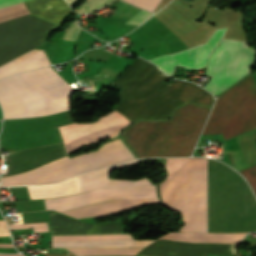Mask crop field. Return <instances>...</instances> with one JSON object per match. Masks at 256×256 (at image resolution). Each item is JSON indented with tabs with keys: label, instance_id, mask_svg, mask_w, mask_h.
Wrapping results in <instances>:
<instances>
[{
	"label": "crop field",
	"instance_id": "crop-field-14",
	"mask_svg": "<svg viewBox=\"0 0 256 256\" xmlns=\"http://www.w3.org/2000/svg\"><path fill=\"white\" fill-rule=\"evenodd\" d=\"M30 13L55 22L69 6L64 0H30L24 2Z\"/></svg>",
	"mask_w": 256,
	"mask_h": 256
},
{
	"label": "crop field",
	"instance_id": "crop-field-24",
	"mask_svg": "<svg viewBox=\"0 0 256 256\" xmlns=\"http://www.w3.org/2000/svg\"><path fill=\"white\" fill-rule=\"evenodd\" d=\"M151 13H148L146 11L141 10L136 15H134L131 19H129L126 24H133V25H139L141 22H143L145 19L150 17Z\"/></svg>",
	"mask_w": 256,
	"mask_h": 256
},
{
	"label": "crop field",
	"instance_id": "crop-field-23",
	"mask_svg": "<svg viewBox=\"0 0 256 256\" xmlns=\"http://www.w3.org/2000/svg\"><path fill=\"white\" fill-rule=\"evenodd\" d=\"M63 39L75 40L80 30L76 20L69 24Z\"/></svg>",
	"mask_w": 256,
	"mask_h": 256
},
{
	"label": "crop field",
	"instance_id": "crop-field-5",
	"mask_svg": "<svg viewBox=\"0 0 256 256\" xmlns=\"http://www.w3.org/2000/svg\"><path fill=\"white\" fill-rule=\"evenodd\" d=\"M209 110L186 104L176 109L171 121L138 122L123 136L140 158L189 156Z\"/></svg>",
	"mask_w": 256,
	"mask_h": 256
},
{
	"label": "crop field",
	"instance_id": "crop-field-8",
	"mask_svg": "<svg viewBox=\"0 0 256 256\" xmlns=\"http://www.w3.org/2000/svg\"><path fill=\"white\" fill-rule=\"evenodd\" d=\"M52 27L30 15L0 23V65L42 44Z\"/></svg>",
	"mask_w": 256,
	"mask_h": 256
},
{
	"label": "crop field",
	"instance_id": "crop-field-7",
	"mask_svg": "<svg viewBox=\"0 0 256 256\" xmlns=\"http://www.w3.org/2000/svg\"><path fill=\"white\" fill-rule=\"evenodd\" d=\"M255 128L256 82L251 74L216 99L202 134L223 133L226 140Z\"/></svg>",
	"mask_w": 256,
	"mask_h": 256
},
{
	"label": "crop field",
	"instance_id": "crop-field-21",
	"mask_svg": "<svg viewBox=\"0 0 256 256\" xmlns=\"http://www.w3.org/2000/svg\"><path fill=\"white\" fill-rule=\"evenodd\" d=\"M240 173L247 179L256 195V165L244 169Z\"/></svg>",
	"mask_w": 256,
	"mask_h": 256
},
{
	"label": "crop field",
	"instance_id": "crop-field-18",
	"mask_svg": "<svg viewBox=\"0 0 256 256\" xmlns=\"http://www.w3.org/2000/svg\"><path fill=\"white\" fill-rule=\"evenodd\" d=\"M111 239H132V237H131V234L52 236V241H66V240H111Z\"/></svg>",
	"mask_w": 256,
	"mask_h": 256
},
{
	"label": "crop field",
	"instance_id": "crop-field-3",
	"mask_svg": "<svg viewBox=\"0 0 256 256\" xmlns=\"http://www.w3.org/2000/svg\"><path fill=\"white\" fill-rule=\"evenodd\" d=\"M226 29H215L203 44L172 55L164 54L149 61L170 76L176 65L190 69L203 68L210 52L218 45ZM255 58L256 52L248 47L247 42L223 39L210 56L206 75L213 77L203 88L217 95L248 74V66L255 63Z\"/></svg>",
	"mask_w": 256,
	"mask_h": 256
},
{
	"label": "crop field",
	"instance_id": "crop-field-27",
	"mask_svg": "<svg viewBox=\"0 0 256 256\" xmlns=\"http://www.w3.org/2000/svg\"><path fill=\"white\" fill-rule=\"evenodd\" d=\"M0 256H22L21 254H0Z\"/></svg>",
	"mask_w": 256,
	"mask_h": 256
},
{
	"label": "crop field",
	"instance_id": "crop-field-11",
	"mask_svg": "<svg viewBox=\"0 0 256 256\" xmlns=\"http://www.w3.org/2000/svg\"><path fill=\"white\" fill-rule=\"evenodd\" d=\"M134 163L138 162L134 161L81 174L80 179L82 191L95 190L107 187H132L138 185H150V182L147 180V178L140 181H123L108 179V170Z\"/></svg>",
	"mask_w": 256,
	"mask_h": 256
},
{
	"label": "crop field",
	"instance_id": "crop-field-16",
	"mask_svg": "<svg viewBox=\"0 0 256 256\" xmlns=\"http://www.w3.org/2000/svg\"><path fill=\"white\" fill-rule=\"evenodd\" d=\"M243 159L244 166L256 163V138L254 131L245 133L236 138Z\"/></svg>",
	"mask_w": 256,
	"mask_h": 256
},
{
	"label": "crop field",
	"instance_id": "crop-field-10",
	"mask_svg": "<svg viewBox=\"0 0 256 256\" xmlns=\"http://www.w3.org/2000/svg\"><path fill=\"white\" fill-rule=\"evenodd\" d=\"M159 202L158 199H141V200H112L100 204H95L79 209H74L66 212H62L65 214H68L70 216L76 217V218H82V217H91V216H104L107 214H111L114 212L131 209L151 203H157Z\"/></svg>",
	"mask_w": 256,
	"mask_h": 256
},
{
	"label": "crop field",
	"instance_id": "crop-field-6",
	"mask_svg": "<svg viewBox=\"0 0 256 256\" xmlns=\"http://www.w3.org/2000/svg\"><path fill=\"white\" fill-rule=\"evenodd\" d=\"M135 159L120 139L98 150L69 158L68 156L34 170L2 178V186L52 183L87 170Z\"/></svg>",
	"mask_w": 256,
	"mask_h": 256
},
{
	"label": "crop field",
	"instance_id": "crop-field-25",
	"mask_svg": "<svg viewBox=\"0 0 256 256\" xmlns=\"http://www.w3.org/2000/svg\"><path fill=\"white\" fill-rule=\"evenodd\" d=\"M23 1H26V0H0V8L6 7L12 4H16L19 2H23Z\"/></svg>",
	"mask_w": 256,
	"mask_h": 256
},
{
	"label": "crop field",
	"instance_id": "crop-field-2",
	"mask_svg": "<svg viewBox=\"0 0 256 256\" xmlns=\"http://www.w3.org/2000/svg\"><path fill=\"white\" fill-rule=\"evenodd\" d=\"M168 79L155 65L138 58L111 84L122 87L121 103L115 109L131 122L167 119L175 107L185 102L211 106L212 95L190 82Z\"/></svg>",
	"mask_w": 256,
	"mask_h": 256
},
{
	"label": "crop field",
	"instance_id": "crop-field-12",
	"mask_svg": "<svg viewBox=\"0 0 256 256\" xmlns=\"http://www.w3.org/2000/svg\"><path fill=\"white\" fill-rule=\"evenodd\" d=\"M50 64L45 51L33 49L21 57L1 66L0 79L16 72L36 69Z\"/></svg>",
	"mask_w": 256,
	"mask_h": 256
},
{
	"label": "crop field",
	"instance_id": "crop-field-29",
	"mask_svg": "<svg viewBox=\"0 0 256 256\" xmlns=\"http://www.w3.org/2000/svg\"><path fill=\"white\" fill-rule=\"evenodd\" d=\"M67 1L70 3V2H72V1H74V0H67Z\"/></svg>",
	"mask_w": 256,
	"mask_h": 256
},
{
	"label": "crop field",
	"instance_id": "crop-field-17",
	"mask_svg": "<svg viewBox=\"0 0 256 256\" xmlns=\"http://www.w3.org/2000/svg\"><path fill=\"white\" fill-rule=\"evenodd\" d=\"M78 256L88 255H135L141 249H97V248H67Z\"/></svg>",
	"mask_w": 256,
	"mask_h": 256
},
{
	"label": "crop field",
	"instance_id": "crop-field-4",
	"mask_svg": "<svg viewBox=\"0 0 256 256\" xmlns=\"http://www.w3.org/2000/svg\"><path fill=\"white\" fill-rule=\"evenodd\" d=\"M73 88L49 66L0 80L4 119L42 116L68 110Z\"/></svg>",
	"mask_w": 256,
	"mask_h": 256
},
{
	"label": "crop field",
	"instance_id": "crop-field-13",
	"mask_svg": "<svg viewBox=\"0 0 256 256\" xmlns=\"http://www.w3.org/2000/svg\"><path fill=\"white\" fill-rule=\"evenodd\" d=\"M246 233H169L159 239L192 241V242H221L238 243Z\"/></svg>",
	"mask_w": 256,
	"mask_h": 256
},
{
	"label": "crop field",
	"instance_id": "crop-field-20",
	"mask_svg": "<svg viewBox=\"0 0 256 256\" xmlns=\"http://www.w3.org/2000/svg\"><path fill=\"white\" fill-rule=\"evenodd\" d=\"M8 226H9L10 230L33 228L34 232L49 231L46 222L31 223V224H11V225H8Z\"/></svg>",
	"mask_w": 256,
	"mask_h": 256
},
{
	"label": "crop field",
	"instance_id": "crop-field-26",
	"mask_svg": "<svg viewBox=\"0 0 256 256\" xmlns=\"http://www.w3.org/2000/svg\"><path fill=\"white\" fill-rule=\"evenodd\" d=\"M44 256H75V255L71 253H62V254L44 253Z\"/></svg>",
	"mask_w": 256,
	"mask_h": 256
},
{
	"label": "crop field",
	"instance_id": "crop-field-19",
	"mask_svg": "<svg viewBox=\"0 0 256 256\" xmlns=\"http://www.w3.org/2000/svg\"><path fill=\"white\" fill-rule=\"evenodd\" d=\"M115 0H85L75 11L82 12L84 14L95 11Z\"/></svg>",
	"mask_w": 256,
	"mask_h": 256
},
{
	"label": "crop field",
	"instance_id": "crop-field-15",
	"mask_svg": "<svg viewBox=\"0 0 256 256\" xmlns=\"http://www.w3.org/2000/svg\"><path fill=\"white\" fill-rule=\"evenodd\" d=\"M154 240H112V241H66L52 242V247L63 246H97V247H145Z\"/></svg>",
	"mask_w": 256,
	"mask_h": 256
},
{
	"label": "crop field",
	"instance_id": "crop-field-1",
	"mask_svg": "<svg viewBox=\"0 0 256 256\" xmlns=\"http://www.w3.org/2000/svg\"><path fill=\"white\" fill-rule=\"evenodd\" d=\"M224 164V163H223ZM218 162V232L256 231V199L233 169ZM163 204L180 211L181 232H206V158H166ZM207 232H217V161L207 159Z\"/></svg>",
	"mask_w": 256,
	"mask_h": 256
},
{
	"label": "crop field",
	"instance_id": "crop-field-28",
	"mask_svg": "<svg viewBox=\"0 0 256 256\" xmlns=\"http://www.w3.org/2000/svg\"><path fill=\"white\" fill-rule=\"evenodd\" d=\"M0 247H14L13 244H0Z\"/></svg>",
	"mask_w": 256,
	"mask_h": 256
},
{
	"label": "crop field",
	"instance_id": "crop-field-22",
	"mask_svg": "<svg viewBox=\"0 0 256 256\" xmlns=\"http://www.w3.org/2000/svg\"><path fill=\"white\" fill-rule=\"evenodd\" d=\"M130 2L133 5L144 8L153 12L156 6L160 3L161 0H125Z\"/></svg>",
	"mask_w": 256,
	"mask_h": 256
},
{
	"label": "crop field",
	"instance_id": "crop-field-9",
	"mask_svg": "<svg viewBox=\"0 0 256 256\" xmlns=\"http://www.w3.org/2000/svg\"><path fill=\"white\" fill-rule=\"evenodd\" d=\"M157 197L155 186H142L133 188H108L96 191L83 192L71 196L45 199V208L55 209L59 212L69 208L110 200L140 199Z\"/></svg>",
	"mask_w": 256,
	"mask_h": 256
}]
</instances>
